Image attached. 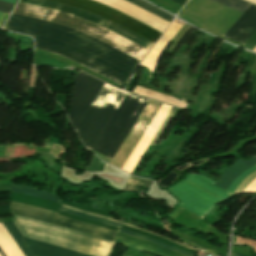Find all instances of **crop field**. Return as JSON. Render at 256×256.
Wrapping results in <instances>:
<instances>
[{
	"instance_id": "obj_1",
	"label": "crop field",
	"mask_w": 256,
	"mask_h": 256,
	"mask_svg": "<svg viewBox=\"0 0 256 256\" xmlns=\"http://www.w3.org/2000/svg\"><path fill=\"white\" fill-rule=\"evenodd\" d=\"M3 29L31 35L36 48L80 64L121 85L139 61L75 30L11 14Z\"/></svg>"
},
{
	"instance_id": "obj_2",
	"label": "crop field",
	"mask_w": 256,
	"mask_h": 256,
	"mask_svg": "<svg viewBox=\"0 0 256 256\" xmlns=\"http://www.w3.org/2000/svg\"><path fill=\"white\" fill-rule=\"evenodd\" d=\"M125 94L104 83L76 129L85 146L92 149ZM147 102L127 93L93 150L112 159Z\"/></svg>"
},
{
	"instance_id": "obj_3",
	"label": "crop field",
	"mask_w": 256,
	"mask_h": 256,
	"mask_svg": "<svg viewBox=\"0 0 256 256\" xmlns=\"http://www.w3.org/2000/svg\"><path fill=\"white\" fill-rule=\"evenodd\" d=\"M24 237L50 243L91 256H108L113 243L68 228L12 215Z\"/></svg>"
},
{
	"instance_id": "obj_4",
	"label": "crop field",
	"mask_w": 256,
	"mask_h": 256,
	"mask_svg": "<svg viewBox=\"0 0 256 256\" xmlns=\"http://www.w3.org/2000/svg\"><path fill=\"white\" fill-rule=\"evenodd\" d=\"M255 169L256 163L239 175L227 191L213 185L214 182L206 177L192 173L181 183L166 190L179 199L180 206L203 219L216 203L230 197L240 182Z\"/></svg>"
},
{
	"instance_id": "obj_5",
	"label": "crop field",
	"mask_w": 256,
	"mask_h": 256,
	"mask_svg": "<svg viewBox=\"0 0 256 256\" xmlns=\"http://www.w3.org/2000/svg\"><path fill=\"white\" fill-rule=\"evenodd\" d=\"M14 14L57 23L84 34L92 36L138 60L144 57L148 50L84 19L65 13L18 3Z\"/></svg>"
},
{
	"instance_id": "obj_6",
	"label": "crop field",
	"mask_w": 256,
	"mask_h": 256,
	"mask_svg": "<svg viewBox=\"0 0 256 256\" xmlns=\"http://www.w3.org/2000/svg\"><path fill=\"white\" fill-rule=\"evenodd\" d=\"M161 106H162V103H158V102L149 100L148 104L146 105V107L144 108L140 117L138 118L135 125L131 129L130 133L128 134L127 138L123 142L119 151L115 155L114 159L111 161V164H113V165L122 169L125 162L127 161L129 156L131 155L132 151L134 150V148L138 144L139 140L141 139V137L145 133L146 129L148 128V126L152 122L153 118L155 117V115L157 114V112L159 111ZM175 111H176V109L173 108V110L171 111L170 115L166 119V121L163 124V126L161 127V129L159 130L158 134L154 138L151 145L156 144V142L158 141V139L162 135L163 131L165 130V128L167 127V125L171 121Z\"/></svg>"
},
{
	"instance_id": "obj_7",
	"label": "crop field",
	"mask_w": 256,
	"mask_h": 256,
	"mask_svg": "<svg viewBox=\"0 0 256 256\" xmlns=\"http://www.w3.org/2000/svg\"><path fill=\"white\" fill-rule=\"evenodd\" d=\"M70 6H74L80 9L90 11L96 15H99L105 19H108L152 42L158 39L162 34L110 7L102 5L98 2L91 0H50Z\"/></svg>"
},
{
	"instance_id": "obj_8",
	"label": "crop field",
	"mask_w": 256,
	"mask_h": 256,
	"mask_svg": "<svg viewBox=\"0 0 256 256\" xmlns=\"http://www.w3.org/2000/svg\"><path fill=\"white\" fill-rule=\"evenodd\" d=\"M10 205L12 214L26 216L45 222L65 226L113 242L115 231L107 230L104 228L58 216L55 212L27 206L20 203L10 202Z\"/></svg>"
},
{
	"instance_id": "obj_9",
	"label": "crop field",
	"mask_w": 256,
	"mask_h": 256,
	"mask_svg": "<svg viewBox=\"0 0 256 256\" xmlns=\"http://www.w3.org/2000/svg\"><path fill=\"white\" fill-rule=\"evenodd\" d=\"M102 85L103 82L81 71L79 72L75 81L68 113L69 119L75 129Z\"/></svg>"
},
{
	"instance_id": "obj_10",
	"label": "crop field",
	"mask_w": 256,
	"mask_h": 256,
	"mask_svg": "<svg viewBox=\"0 0 256 256\" xmlns=\"http://www.w3.org/2000/svg\"><path fill=\"white\" fill-rule=\"evenodd\" d=\"M21 3H25V4H30V5H34V6H39V7H43V8H48V9H52V10H57V11H61V12H65L71 15H75L81 18H84L86 20H89L93 23H96L146 49H150L151 46L153 45V43L99 17L96 16L90 12L87 11H83L77 8H73L70 6H66V5H62V4H58V3H54V2H50V1H46V0H20Z\"/></svg>"
},
{
	"instance_id": "obj_11",
	"label": "crop field",
	"mask_w": 256,
	"mask_h": 256,
	"mask_svg": "<svg viewBox=\"0 0 256 256\" xmlns=\"http://www.w3.org/2000/svg\"><path fill=\"white\" fill-rule=\"evenodd\" d=\"M3 225L6 227V229L8 230L10 235L13 237V239L15 240L17 245L20 247V249L22 250L25 256H33V254L35 256H87L71 250H67V249L53 246L50 244L24 238L27 244L29 245V247L31 248L33 252L32 254L30 248L26 244L25 240L23 239L21 233L16 228L14 223L7 222V223H3Z\"/></svg>"
},
{
	"instance_id": "obj_12",
	"label": "crop field",
	"mask_w": 256,
	"mask_h": 256,
	"mask_svg": "<svg viewBox=\"0 0 256 256\" xmlns=\"http://www.w3.org/2000/svg\"><path fill=\"white\" fill-rule=\"evenodd\" d=\"M256 30V6L251 4L224 37L243 44Z\"/></svg>"
},
{
	"instance_id": "obj_13",
	"label": "crop field",
	"mask_w": 256,
	"mask_h": 256,
	"mask_svg": "<svg viewBox=\"0 0 256 256\" xmlns=\"http://www.w3.org/2000/svg\"><path fill=\"white\" fill-rule=\"evenodd\" d=\"M256 162V156L248 161L239 159L231 165L215 183V185L227 190L232 181L249 166Z\"/></svg>"
},
{
	"instance_id": "obj_14",
	"label": "crop field",
	"mask_w": 256,
	"mask_h": 256,
	"mask_svg": "<svg viewBox=\"0 0 256 256\" xmlns=\"http://www.w3.org/2000/svg\"><path fill=\"white\" fill-rule=\"evenodd\" d=\"M11 191L24 193V194H28L31 196L55 201V202H59L61 199V197H59V196H55V195H52V194H49V193H46V192H43V191H40V190H37L34 188H30L27 186L14 184V183L11 184Z\"/></svg>"
},
{
	"instance_id": "obj_15",
	"label": "crop field",
	"mask_w": 256,
	"mask_h": 256,
	"mask_svg": "<svg viewBox=\"0 0 256 256\" xmlns=\"http://www.w3.org/2000/svg\"><path fill=\"white\" fill-rule=\"evenodd\" d=\"M116 236L120 237V238H124V239L130 240V241H133V242H136V243H140V244L146 245V246H148V247H150L152 249L163 251V252L169 253V254L174 255V256H185L183 254L171 251L169 249H166V248L160 247L158 245H155V244L143 241V240L138 239V238H134V237H130V236L124 235V234L119 233V232L117 233Z\"/></svg>"
},
{
	"instance_id": "obj_16",
	"label": "crop field",
	"mask_w": 256,
	"mask_h": 256,
	"mask_svg": "<svg viewBox=\"0 0 256 256\" xmlns=\"http://www.w3.org/2000/svg\"><path fill=\"white\" fill-rule=\"evenodd\" d=\"M127 1L139 6V7L143 8V9H145V10H147V11H149V12H151V13H153V14H155V15H157V16H159V17H161V18H163L167 21H169V22H171L174 19L173 16H171L169 14H166V13L156 9L155 7L141 1V0H127Z\"/></svg>"
},
{
	"instance_id": "obj_17",
	"label": "crop field",
	"mask_w": 256,
	"mask_h": 256,
	"mask_svg": "<svg viewBox=\"0 0 256 256\" xmlns=\"http://www.w3.org/2000/svg\"><path fill=\"white\" fill-rule=\"evenodd\" d=\"M152 181H147L138 177H135L133 175H131L128 183L126 184L124 190H135L138 192V187L139 186H144V187H148L152 184Z\"/></svg>"
},
{
	"instance_id": "obj_18",
	"label": "crop field",
	"mask_w": 256,
	"mask_h": 256,
	"mask_svg": "<svg viewBox=\"0 0 256 256\" xmlns=\"http://www.w3.org/2000/svg\"><path fill=\"white\" fill-rule=\"evenodd\" d=\"M115 242L123 244V245L130 246V247H134V248H137V249H141V250L147 251L149 253H152V254H155V255H158V256H171V255H168V254L163 253V252L152 250V249H150V248H148L146 246H143V245H140V244H136V243H133V242H130V241H126V240H123V239H120V238H116V237H115Z\"/></svg>"
},
{
	"instance_id": "obj_19",
	"label": "crop field",
	"mask_w": 256,
	"mask_h": 256,
	"mask_svg": "<svg viewBox=\"0 0 256 256\" xmlns=\"http://www.w3.org/2000/svg\"><path fill=\"white\" fill-rule=\"evenodd\" d=\"M214 1H217L221 4H224L228 7H231L235 10H238L240 12H244L247 7L250 5V3L248 2H245L243 0H214Z\"/></svg>"
},
{
	"instance_id": "obj_20",
	"label": "crop field",
	"mask_w": 256,
	"mask_h": 256,
	"mask_svg": "<svg viewBox=\"0 0 256 256\" xmlns=\"http://www.w3.org/2000/svg\"><path fill=\"white\" fill-rule=\"evenodd\" d=\"M62 206L67 207V208H70V209H73V210L78 211V212H81V213H85V214H89V215H93V216L102 217V218H105V219H107V220L119 222V223H122V224H125V225H128V226H131V227H134V228H137V229H140V230H143V231L152 233V232H150V231H147V230H144V229H141V228L132 226V225H130V224H127V223H124V222H121V221H117V220H114V219H111V218H107V217H103V216H99V215H95V214H91V213L84 212V211H81V210H78V209H75V208H71V207H68V206H65V205H62ZM152 234L157 235V236H159V237H161V238H164V239H166V240H169V241H171V242H174V243H176V244L182 245V246H184V247H187V248H189V249H192V250H194V251L197 250V249H195V248H192V247H190V246H187V245H185V244L179 243V242H177V241L168 239V238H166V237L160 236V235H158V234H155V233H152Z\"/></svg>"
},
{
	"instance_id": "obj_21",
	"label": "crop field",
	"mask_w": 256,
	"mask_h": 256,
	"mask_svg": "<svg viewBox=\"0 0 256 256\" xmlns=\"http://www.w3.org/2000/svg\"><path fill=\"white\" fill-rule=\"evenodd\" d=\"M120 232L125 233V234L130 235V236H134V237H138V238L144 239V240H146V241H149V242H152V243H155V244L164 246V247H167V248H169V249L178 251V252L183 253V254H186V255H188V256H193V255L190 254V253H187V252H184V251H182V250H179V249L170 247V246H168V245L162 244V243H160V242H158V241H156V240H153V239H151V238H148V237H146V236L137 235V234H134V233H132V232H129V231H126V230H122V229H120Z\"/></svg>"
},
{
	"instance_id": "obj_22",
	"label": "crop field",
	"mask_w": 256,
	"mask_h": 256,
	"mask_svg": "<svg viewBox=\"0 0 256 256\" xmlns=\"http://www.w3.org/2000/svg\"><path fill=\"white\" fill-rule=\"evenodd\" d=\"M61 211H64V212H67V213H70V214H73V215H77V216H80V217H84V218H87V219H91V220H95V221L111 224V225H114V226L119 227V228L121 227L120 224L113 223V222H110V221H107V220H103V219H99V218H96V217L84 215V214H81V213H78V212H75V211L63 208V207L61 208Z\"/></svg>"
},
{
	"instance_id": "obj_23",
	"label": "crop field",
	"mask_w": 256,
	"mask_h": 256,
	"mask_svg": "<svg viewBox=\"0 0 256 256\" xmlns=\"http://www.w3.org/2000/svg\"><path fill=\"white\" fill-rule=\"evenodd\" d=\"M177 236V235H176ZM179 239H181L182 241H184V242H186V243H188V244H190V245H192V246H195V247H197V248H199V249H202V250H204V251H207V252H209V253H212V254H214V255H217V256H225L224 254H222V253H220V252H217V251H215V250H212V249H209V248H207V247H204V246H201V245H199V244H196V243H194V242H192V241H190V240H188V239H186V238H183V237H180V236H177Z\"/></svg>"
},
{
	"instance_id": "obj_24",
	"label": "crop field",
	"mask_w": 256,
	"mask_h": 256,
	"mask_svg": "<svg viewBox=\"0 0 256 256\" xmlns=\"http://www.w3.org/2000/svg\"><path fill=\"white\" fill-rule=\"evenodd\" d=\"M243 47H246L251 50H253L256 47V32L247 40Z\"/></svg>"
},
{
	"instance_id": "obj_25",
	"label": "crop field",
	"mask_w": 256,
	"mask_h": 256,
	"mask_svg": "<svg viewBox=\"0 0 256 256\" xmlns=\"http://www.w3.org/2000/svg\"><path fill=\"white\" fill-rule=\"evenodd\" d=\"M14 3L15 0H4ZM0 0V11L8 13L9 9L12 6V3L4 2Z\"/></svg>"
},
{
	"instance_id": "obj_26",
	"label": "crop field",
	"mask_w": 256,
	"mask_h": 256,
	"mask_svg": "<svg viewBox=\"0 0 256 256\" xmlns=\"http://www.w3.org/2000/svg\"><path fill=\"white\" fill-rule=\"evenodd\" d=\"M244 192H256V179L245 189Z\"/></svg>"
},
{
	"instance_id": "obj_27",
	"label": "crop field",
	"mask_w": 256,
	"mask_h": 256,
	"mask_svg": "<svg viewBox=\"0 0 256 256\" xmlns=\"http://www.w3.org/2000/svg\"><path fill=\"white\" fill-rule=\"evenodd\" d=\"M170 1H172V2H174V3L183 7L188 0H170Z\"/></svg>"
},
{
	"instance_id": "obj_28",
	"label": "crop field",
	"mask_w": 256,
	"mask_h": 256,
	"mask_svg": "<svg viewBox=\"0 0 256 256\" xmlns=\"http://www.w3.org/2000/svg\"><path fill=\"white\" fill-rule=\"evenodd\" d=\"M5 16H6V13L0 12V24H1V22L4 19Z\"/></svg>"
},
{
	"instance_id": "obj_29",
	"label": "crop field",
	"mask_w": 256,
	"mask_h": 256,
	"mask_svg": "<svg viewBox=\"0 0 256 256\" xmlns=\"http://www.w3.org/2000/svg\"><path fill=\"white\" fill-rule=\"evenodd\" d=\"M233 256H244V255H241V254H237V253H234L232 254Z\"/></svg>"
},
{
	"instance_id": "obj_30",
	"label": "crop field",
	"mask_w": 256,
	"mask_h": 256,
	"mask_svg": "<svg viewBox=\"0 0 256 256\" xmlns=\"http://www.w3.org/2000/svg\"><path fill=\"white\" fill-rule=\"evenodd\" d=\"M0 254H1L2 256H5V254L3 253V251L1 250V248H0Z\"/></svg>"
},
{
	"instance_id": "obj_31",
	"label": "crop field",
	"mask_w": 256,
	"mask_h": 256,
	"mask_svg": "<svg viewBox=\"0 0 256 256\" xmlns=\"http://www.w3.org/2000/svg\"><path fill=\"white\" fill-rule=\"evenodd\" d=\"M253 51H255V52H256V48H255Z\"/></svg>"
}]
</instances>
